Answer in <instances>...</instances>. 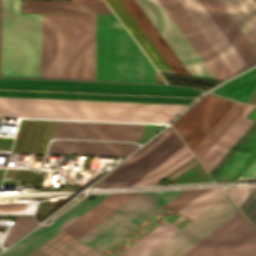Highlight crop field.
I'll return each instance as SVG.
<instances>
[{
	"label": "crop field",
	"mask_w": 256,
	"mask_h": 256,
	"mask_svg": "<svg viewBox=\"0 0 256 256\" xmlns=\"http://www.w3.org/2000/svg\"><path fill=\"white\" fill-rule=\"evenodd\" d=\"M1 6H2V0H0V34H1Z\"/></svg>",
	"instance_id": "24"
},
{
	"label": "crop field",
	"mask_w": 256,
	"mask_h": 256,
	"mask_svg": "<svg viewBox=\"0 0 256 256\" xmlns=\"http://www.w3.org/2000/svg\"><path fill=\"white\" fill-rule=\"evenodd\" d=\"M227 192L256 227V187L229 188Z\"/></svg>",
	"instance_id": "18"
},
{
	"label": "crop field",
	"mask_w": 256,
	"mask_h": 256,
	"mask_svg": "<svg viewBox=\"0 0 256 256\" xmlns=\"http://www.w3.org/2000/svg\"><path fill=\"white\" fill-rule=\"evenodd\" d=\"M203 92L177 86L0 79V96L190 104ZM0 97V116L169 123L188 105Z\"/></svg>",
	"instance_id": "2"
},
{
	"label": "crop field",
	"mask_w": 256,
	"mask_h": 256,
	"mask_svg": "<svg viewBox=\"0 0 256 256\" xmlns=\"http://www.w3.org/2000/svg\"><path fill=\"white\" fill-rule=\"evenodd\" d=\"M253 107L254 106H249L246 109V111L237 119V121L200 161V164L204 167L207 173L253 123V121L246 118Z\"/></svg>",
	"instance_id": "13"
},
{
	"label": "crop field",
	"mask_w": 256,
	"mask_h": 256,
	"mask_svg": "<svg viewBox=\"0 0 256 256\" xmlns=\"http://www.w3.org/2000/svg\"><path fill=\"white\" fill-rule=\"evenodd\" d=\"M255 159L256 130L242 145V147L232 156V158L213 177L214 181L237 180V178L255 161Z\"/></svg>",
	"instance_id": "14"
},
{
	"label": "crop field",
	"mask_w": 256,
	"mask_h": 256,
	"mask_svg": "<svg viewBox=\"0 0 256 256\" xmlns=\"http://www.w3.org/2000/svg\"><path fill=\"white\" fill-rule=\"evenodd\" d=\"M36 223L38 222H36L33 217H17L4 245L11 244Z\"/></svg>",
	"instance_id": "21"
},
{
	"label": "crop field",
	"mask_w": 256,
	"mask_h": 256,
	"mask_svg": "<svg viewBox=\"0 0 256 256\" xmlns=\"http://www.w3.org/2000/svg\"><path fill=\"white\" fill-rule=\"evenodd\" d=\"M182 190L111 193L72 201L0 256H118L174 212ZM231 204L223 187L185 189L176 213L119 256H163ZM256 229L233 204L165 256H235ZM237 256H256V241Z\"/></svg>",
	"instance_id": "1"
},
{
	"label": "crop field",
	"mask_w": 256,
	"mask_h": 256,
	"mask_svg": "<svg viewBox=\"0 0 256 256\" xmlns=\"http://www.w3.org/2000/svg\"><path fill=\"white\" fill-rule=\"evenodd\" d=\"M160 73L168 83L191 85V86H196L203 89H208L220 82L219 80L195 78V77L168 74V73H162V72Z\"/></svg>",
	"instance_id": "19"
},
{
	"label": "crop field",
	"mask_w": 256,
	"mask_h": 256,
	"mask_svg": "<svg viewBox=\"0 0 256 256\" xmlns=\"http://www.w3.org/2000/svg\"><path fill=\"white\" fill-rule=\"evenodd\" d=\"M233 74L256 63V35L230 0H178Z\"/></svg>",
	"instance_id": "5"
},
{
	"label": "crop field",
	"mask_w": 256,
	"mask_h": 256,
	"mask_svg": "<svg viewBox=\"0 0 256 256\" xmlns=\"http://www.w3.org/2000/svg\"><path fill=\"white\" fill-rule=\"evenodd\" d=\"M156 74L116 17L96 14V80L165 83Z\"/></svg>",
	"instance_id": "6"
},
{
	"label": "crop field",
	"mask_w": 256,
	"mask_h": 256,
	"mask_svg": "<svg viewBox=\"0 0 256 256\" xmlns=\"http://www.w3.org/2000/svg\"><path fill=\"white\" fill-rule=\"evenodd\" d=\"M255 89L256 67L224 83L214 92L246 102Z\"/></svg>",
	"instance_id": "15"
},
{
	"label": "crop field",
	"mask_w": 256,
	"mask_h": 256,
	"mask_svg": "<svg viewBox=\"0 0 256 256\" xmlns=\"http://www.w3.org/2000/svg\"><path fill=\"white\" fill-rule=\"evenodd\" d=\"M149 39L153 42L175 73L189 75L134 0H121ZM190 76V75H189Z\"/></svg>",
	"instance_id": "12"
},
{
	"label": "crop field",
	"mask_w": 256,
	"mask_h": 256,
	"mask_svg": "<svg viewBox=\"0 0 256 256\" xmlns=\"http://www.w3.org/2000/svg\"><path fill=\"white\" fill-rule=\"evenodd\" d=\"M135 148L133 144L54 141L48 153L125 157Z\"/></svg>",
	"instance_id": "11"
},
{
	"label": "crop field",
	"mask_w": 256,
	"mask_h": 256,
	"mask_svg": "<svg viewBox=\"0 0 256 256\" xmlns=\"http://www.w3.org/2000/svg\"><path fill=\"white\" fill-rule=\"evenodd\" d=\"M193 154L185 145L132 186L157 185L165 176L182 164Z\"/></svg>",
	"instance_id": "17"
},
{
	"label": "crop field",
	"mask_w": 256,
	"mask_h": 256,
	"mask_svg": "<svg viewBox=\"0 0 256 256\" xmlns=\"http://www.w3.org/2000/svg\"><path fill=\"white\" fill-rule=\"evenodd\" d=\"M256 2V0H254Z\"/></svg>",
	"instance_id": "25"
},
{
	"label": "crop field",
	"mask_w": 256,
	"mask_h": 256,
	"mask_svg": "<svg viewBox=\"0 0 256 256\" xmlns=\"http://www.w3.org/2000/svg\"><path fill=\"white\" fill-rule=\"evenodd\" d=\"M144 125L58 121L53 137L140 140Z\"/></svg>",
	"instance_id": "9"
},
{
	"label": "crop field",
	"mask_w": 256,
	"mask_h": 256,
	"mask_svg": "<svg viewBox=\"0 0 256 256\" xmlns=\"http://www.w3.org/2000/svg\"><path fill=\"white\" fill-rule=\"evenodd\" d=\"M248 105L235 103L219 123L211 130L204 140L193 151L200 160L204 154L217 142V140L227 131L236 119L245 111Z\"/></svg>",
	"instance_id": "16"
},
{
	"label": "crop field",
	"mask_w": 256,
	"mask_h": 256,
	"mask_svg": "<svg viewBox=\"0 0 256 256\" xmlns=\"http://www.w3.org/2000/svg\"><path fill=\"white\" fill-rule=\"evenodd\" d=\"M135 1L191 76H233L176 0Z\"/></svg>",
	"instance_id": "4"
},
{
	"label": "crop field",
	"mask_w": 256,
	"mask_h": 256,
	"mask_svg": "<svg viewBox=\"0 0 256 256\" xmlns=\"http://www.w3.org/2000/svg\"><path fill=\"white\" fill-rule=\"evenodd\" d=\"M242 177H256V162L248 169Z\"/></svg>",
	"instance_id": "22"
},
{
	"label": "crop field",
	"mask_w": 256,
	"mask_h": 256,
	"mask_svg": "<svg viewBox=\"0 0 256 256\" xmlns=\"http://www.w3.org/2000/svg\"><path fill=\"white\" fill-rule=\"evenodd\" d=\"M256 34V4L253 0H231Z\"/></svg>",
	"instance_id": "20"
},
{
	"label": "crop field",
	"mask_w": 256,
	"mask_h": 256,
	"mask_svg": "<svg viewBox=\"0 0 256 256\" xmlns=\"http://www.w3.org/2000/svg\"><path fill=\"white\" fill-rule=\"evenodd\" d=\"M248 117L256 120V108L253 110V112Z\"/></svg>",
	"instance_id": "23"
},
{
	"label": "crop field",
	"mask_w": 256,
	"mask_h": 256,
	"mask_svg": "<svg viewBox=\"0 0 256 256\" xmlns=\"http://www.w3.org/2000/svg\"><path fill=\"white\" fill-rule=\"evenodd\" d=\"M120 21L141 46L158 71L174 73L152 42L148 39L120 0H105Z\"/></svg>",
	"instance_id": "10"
},
{
	"label": "crop field",
	"mask_w": 256,
	"mask_h": 256,
	"mask_svg": "<svg viewBox=\"0 0 256 256\" xmlns=\"http://www.w3.org/2000/svg\"><path fill=\"white\" fill-rule=\"evenodd\" d=\"M183 145L185 144L169 126L116 168L99 186H130Z\"/></svg>",
	"instance_id": "7"
},
{
	"label": "crop field",
	"mask_w": 256,
	"mask_h": 256,
	"mask_svg": "<svg viewBox=\"0 0 256 256\" xmlns=\"http://www.w3.org/2000/svg\"><path fill=\"white\" fill-rule=\"evenodd\" d=\"M0 75L95 80V14H20L3 0Z\"/></svg>",
	"instance_id": "3"
},
{
	"label": "crop field",
	"mask_w": 256,
	"mask_h": 256,
	"mask_svg": "<svg viewBox=\"0 0 256 256\" xmlns=\"http://www.w3.org/2000/svg\"><path fill=\"white\" fill-rule=\"evenodd\" d=\"M233 104L207 94L172 125L193 151Z\"/></svg>",
	"instance_id": "8"
}]
</instances>
